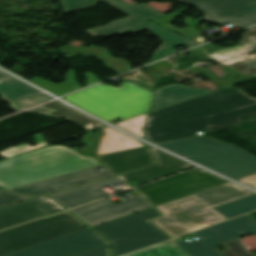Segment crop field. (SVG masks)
Wrapping results in <instances>:
<instances>
[{"mask_svg":"<svg viewBox=\"0 0 256 256\" xmlns=\"http://www.w3.org/2000/svg\"><path fill=\"white\" fill-rule=\"evenodd\" d=\"M207 55L241 75L250 73L256 77V27L244 32L240 44Z\"/></svg>","mask_w":256,"mask_h":256,"instance_id":"crop-field-13","label":"crop field"},{"mask_svg":"<svg viewBox=\"0 0 256 256\" xmlns=\"http://www.w3.org/2000/svg\"><path fill=\"white\" fill-rule=\"evenodd\" d=\"M1 190H3V189L0 188V191H1Z\"/></svg>","mask_w":256,"mask_h":256,"instance_id":"crop-field-45","label":"crop field"},{"mask_svg":"<svg viewBox=\"0 0 256 256\" xmlns=\"http://www.w3.org/2000/svg\"><path fill=\"white\" fill-rule=\"evenodd\" d=\"M126 256H187L177 245L172 241L156 245L154 247L135 252Z\"/></svg>","mask_w":256,"mask_h":256,"instance_id":"crop-field-30","label":"crop field"},{"mask_svg":"<svg viewBox=\"0 0 256 256\" xmlns=\"http://www.w3.org/2000/svg\"><path fill=\"white\" fill-rule=\"evenodd\" d=\"M10 76L0 71V81L4 80L6 78H9Z\"/></svg>","mask_w":256,"mask_h":256,"instance_id":"crop-field-43","label":"crop field"},{"mask_svg":"<svg viewBox=\"0 0 256 256\" xmlns=\"http://www.w3.org/2000/svg\"><path fill=\"white\" fill-rule=\"evenodd\" d=\"M109 52H111V51L106 47L99 48L95 45H92L90 47L73 52V53L65 56V58H69L71 56L81 53L82 55H84L86 57H89V56L97 57L98 59H100L104 62L106 67L116 71L119 74L131 70L130 62L126 61L123 58H115Z\"/></svg>","mask_w":256,"mask_h":256,"instance_id":"crop-field-27","label":"crop field"},{"mask_svg":"<svg viewBox=\"0 0 256 256\" xmlns=\"http://www.w3.org/2000/svg\"><path fill=\"white\" fill-rule=\"evenodd\" d=\"M150 148L157 165L117 175L116 177L122 182H126L130 187H134L194 167L158 149Z\"/></svg>","mask_w":256,"mask_h":256,"instance_id":"crop-field-17","label":"crop field"},{"mask_svg":"<svg viewBox=\"0 0 256 256\" xmlns=\"http://www.w3.org/2000/svg\"><path fill=\"white\" fill-rule=\"evenodd\" d=\"M214 209L228 219L252 210H256V194Z\"/></svg>","mask_w":256,"mask_h":256,"instance_id":"crop-field-28","label":"crop field"},{"mask_svg":"<svg viewBox=\"0 0 256 256\" xmlns=\"http://www.w3.org/2000/svg\"><path fill=\"white\" fill-rule=\"evenodd\" d=\"M237 181L245 184V185H252L256 183V174L252 176H248L242 179H238Z\"/></svg>","mask_w":256,"mask_h":256,"instance_id":"crop-field-38","label":"crop field"},{"mask_svg":"<svg viewBox=\"0 0 256 256\" xmlns=\"http://www.w3.org/2000/svg\"><path fill=\"white\" fill-rule=\"evenodd\" d=\"M101 131H94L88 134L83 135L81 143H86V149L79 151L84 155H94V152L97 147L99 135Z\"/></svg>","mask_w":256,"mask_h":256,"instance_id":"crop-field-35","label":"crop field"},{"mask_svg":"<svg viewBox=\"0 0 256 256\" xmlns=\"http://www.w3.org/2000/svg\"><path fill=\"white\" fill-rule=\"evenodd\" d=\"M97 157L113 175L155 164L148 147Z\"/></svg>","mask_w":256,"mask_h":256,"instance_id":"crop-field-21","label":"crop field"},{"mask_svg":"<svg viewBox=\"0 0 256 256\" xmlns=\"http://www.w3.org/2000/svg\"><path fill=\"white\" fill-rule=\"evenodd\" d=\"M28 198H32V197H28V196H23V195H18V194H13L9 191H1L0 192V207L5 206V205H9L18 201H22Z\"/></svg>","mask_w":256,"mask_h":256,"instance_id":"crop-field-36","label":"crop field"},{"mask_svg":"<svg viewBox=\"0 0 256 256\" xmlns=\"http://www.w3.org/2000/svg\"><path fill=\"white\" fill-rule=\"evenodd\" d=\"M99 164L68 147L51 146L0 162V186L9 189Z\"/></svg>","mask_w":256,"mask_h":256,"instance_id":"crop-field-2","label":"crop field"},{"mask_svg":"<svg viewBox=\"0 0 256 256\" xmlns=\"http://www.w3.org/2000/svg\"><path fill=\"white\" fill-rule=\"evenodd\" d=\"M159 215L160 214L158 213V211L152 208L93 227V229L99 232L110 242H113L121 238L155 227L152 223L148 221V219Z\"/></svg>","mask_w":256,"mask_h":256,"instance_id":"crop-field-18","label":"crop field"},{"mask_svg":"<svg viewBox=\"0 0 256 256\" xmlns=\"http://www.w3.org/2000/svg\"><path fill=\"white\" fill-rule=\"evenodd\" d=\"M169 238L170 237H168L157 227H155L147 231L113 242V255H123Z\"/></svg>","mask_w":256,"mask_h":256,"instance_id":"crop-field-25","label":"crop field"},{"mask_svg":"<svg viewBox=\"0 0 256 256\" xmlns=\"http://www.w3.org/2000/svg\"><path fill=\"white\" fill-rule=\"evenodd\" d=\"M61 2L66 14L79 9L92 7L98 2H106L130 15L102 27L88 30L87 32L93 37L102 36L106 38L163 15L145 3L130 5L122 0H61Z\"/></svg>","mask_w":256,"mask_h":256,"instance_id":"crop-field-9","label":"crop field"},{"mask_svg":"<svg viewBox=\"0 0 256 256\" xmlns=\"http://www.w3.org/2000/svg\"><path fill=\"white\" fill-rule=\"evenodd\" d=\"M178 1L179 3H184V4H192L194 2H197L199 0H176Z\"/></svg>","mask_w":256,"mask_h":256,"instance_id":"crop-field-41","label":"crop field"},{"mask_svg":"<svg viewBox=\"0 0 256 256\" xmlns=\"http://www.w3.org/2000/svg\"><path fill=\"white\" fill-rule=\"evenodd\" d=\"M65 210L47 195L0 208V229Z\"/></svg>","mask_w":256,"mask_h":256,"instance_id":"crop-field-15","label":"crop field"},{"mask_svg":"<svg viewBox=\"0 0 256 256\" xmlns=\"http://www.w3.org/2000/svg\"><path fill=\"white\" fill-rule=\"evenodd\" d=\"M209 92L212 91L201 88L183 86L179 83L157 88L155 89V96L150 111L160 109L171 104Z\"/></svg>","mask_w":256,"mask_h":256,"instance_id":"crop-field-24","label":"crop field"},{"mask_svg":"<svg viewBox=\"0 0 256 256\" xmlns=\"http://www.w3.org/2000/svg\"><path fill=\"white\" fill-rule=\"evenodd\" d=\"M252 194L255 193L232 182H229L191 196L156 206V208L163 215H166L202 202L214 208L250 196Z\"/></svg>","mask_w":256,"mask_h":256,"instance_id":"crop-field-12","label":"crop field"},{"mask_svg":"<svg viewBox=\"0 0 256 256\" xmlns=\"http://www.w3.org/2000/svg\"><path fill=\"white\" fill-rule=\"evenodd\" d=\"M89 228L69 211L0 232V256Z\"/></svg>","mask_w":256,"mask_h":256,"instance_id":"crop-field-6","label":"crop field"},{"mask_svg":"<svg viewBox=\"0 0 256 256\" xmlns=\"http://www.w3.org/2000/svg\"><path fill=\"white\" fill-rule=\"evenodd\" d=\"M242 243L240 240L222 243L226 250L221 251L220 253L223 256H256Z\"/></svg>","mask_w":256,"mask_h":256,"instance_id":"crop-field-32","label":"crop field"},{"mask_svg":"<svg viewBox=\"0 0 256 256\" xmlns=\"http://www.w3.org/2000/svg\"><path fill=\"white\" fill-rule=\"evenodd\" d=\"M105 243L89 228L7 256H70Z\"/></svg>","mask_w":256,"mask_h":256,"instance_id":"crop-field-11","label":"crop field"},{"mask_svg":"<svg viewBox=\"0 0 256 256\" xmlns=\"http://www.w3.org/2000/svg\"><path fill=\"white\" fill-rule=\"evenodd\" d=\"M193 5L205 15L204 21L213 24L232 23L245 28L256 23V0H202ZM190 6L192 5L166 14L153 22L191 38L201 21L180 15ZM176 16L186 19L184 24L188 25L187 28L171 25Z\"/></svg>","mask_w":256,"mask_h":256,"instance_id":"crop-field-5","label":"crop field"},{"mask_svg":"<svg viewBox=\"0 0 256 256\" xmlns=\"http://www.w3.org/2000/svg\"><path fill=\"white\" fill-rule=\"evenodd\" d=\"M222 220L226 218L204 203L151 219L172 238Z\"/></svg>","mask_w":256,"mask_h":256,"instance_id":"crop-field-10","label":"crop field"},{"mask_svg":"<svg viewBox=\"0 0 256 256\" xmlns=\"http://www.w3.org/2000/svg\"><path fill=\"white\" fill-rule=\"evenodd\" d=\"M225 68L228 70V76H227L228 79H227V81H225V80H219V81L214 80L216 77L213 76L209 71H207L203 68L194 67L192 69L194 71H196L198 74H201V75L207 77L208 79L216 82L218 88L221 89V88L228 87V86L232 85L233 84V78L236 75H239V73L234 71L233 69H231L227 66H225ZM229 76H231V78Z\"/></svg>","mask_w":256,"mask_h":256,"instance_id":"crop-field-33","label":"crop field"},{"mask_svg":"<svg viewBox=\"0 0 256 256\" xmlns=\"http://www.w3.org/2000/svg\"><path fill=\"white\" fill-rule=\"evenodd\" d=\"M146 114L139 116L137 118L131 119V120L119 122L115 125H117L118 127L122 128L124 130L132 132V133L136 134L137 136L144 139L142 132H141V128L143 127V123H144Z\"/></svg>","mask_w":256,"mask_h":256,"instance_id":"crop-field-34","label":"crop field"},{"mask_svg":"<svg viewBox=\"0 0 256 256\" xmlns=\"http://www.w3.org/2000/svg\"><path fill=\"white\" fill-rule=\"evenodd\" d=\"M198 60L199 61H215V60L211 59L210 57H208L206 55L201 57V58H199Z\"/></svg>","mask_w":256,"mask_h":256,"instance_id":"crop-field-42","label":"crop field"},{"mask_svg":"<svg viewBox=\"0 0 256 256\" xmlns=\"http://www.w3.org/2000/svg\"><path fill=\"white\" fill-rule=\"evenodd\" d=\"M148 207H151V205L138 196L116 205L110 203L106 199H102L71 209V211L78 215L87 224L93 226Z\"/></svg>","mask_w":256,"mask_h":256,"instance_id":"crop-field-14","label":"crop field"},{"mask_svg":"<svg viewBox=\"0 0 256 256\" xmlns=\"http://www.w3.org/2000/svg\"><path fill=\"white\" fill-rule=\"evenodd\" d=\"M98 168L105 171L100 172ZM112 176L102 165L19 186L9 191L38 196L69 186ZM70 188V187H69Z\"/></svg>","mask_w":256,"mask_h":256,"instance_id":"crop-field-16","label":"crop field"},{"mask_svg":"<svg viewBox=\"0 0 256 256\" xmlns=\"http://www.w3.org/2000/svg\"><path fill=\"white\" fill-rule=\"evenodd\" d=\"M251 114L256 116V98L231 86L150 112L144 132L147 140L159 144L195 136L210 126L223 129L240 124V118Z\"/></svg>","mask_w":256,"mask_h":256,"instance_id":"crop-field-1","label":"crop field"},{"mask_svg":"<svg viewBox=\"0 0 256 256\" xmlns=\"http://www.w3.org/2000/svg\"><path fill=\"white\" fill-rule=\"evenodd\" d=\"M34 137H35V141H36V145L34 147L30 146L27 143L21 144V145H17L15 147H10V148L3 150V152H0V155L9 158L14 155L25 153V152L31 151L33 149L48 145L43 140L42 133L36 134V135H34Z\"/></svg>","mask_w":256,"mask_h":256,"instance_id":"crop-field-31","label":"crop field"},{"mask_svg":"<svg viewBox=\"0 0 256 256\" xmlns=\"http://www.w3.org/2000/svg\"><path fill=\"white\" fill-rule=\"evenodd\" d=\"M81 48H84V47H82V46L73 47V46H71V45H67V46H64V47L60 48L59 50H60L61 52H63L65 55H67V54H69V53H71V52H73V51L79 50V49H81Z\"/></svg>","mask_w":256,"mask_h":256,"instance_id":"crop-field-39","label":"crop field"},{"mask_svg":"<svg viewBox=\"0 0 256 256\" xmlns=\"http://www.w3.org/2000/svg\"><path fill=\"white\" fill-rule=\"evenodd\" d=\"M120 182L115 176L90 182L67 190L49 194L53 199L69 209L109 195L102 188Z\"/></svg>","mask_w":256,"mask_h":256,"instance_id":"crop-field-19","label":"crop field"},{"mask_svg":"<svg viewBox=\"0 0 256 256\" xmlns=\"http://www.w3.org/2000/svg\"><path fill=\"white\" fill-rule=\"evenodd\" d=\"M146 29L151 31L154 35H156L158 38H160L163 41V43L156 49L155 53L153 54V56L151 57L149 62L163 58L169 54L175 53L176 51L174 50V47H177L179 45H184L188 48L197 45L192 39L177 35L171 31H168V30L160 27L159 25H157L151 21H149L141 26L121 32L119 34L126 35L131 32L138 33L140 31H143Z\"/></svg>","mask_w":256,"mask_h":256,"instance_id":"crop-field-22","label":"crop field"},{"mask_svg":"<svg viewBox=\"0 0 256 256\" xmlns=\"http://www.w3.org/2000/svg\"><path fill=\"white\" fill-rule=\"evenodd\" d=\"M66 79H67L66 82L59 84V85L50 83L48 81H45V80H42L39 78H34L30 81H32L36 85H38L48 91H50L51 93H53L55 95H62L67 92L81 88V86L77 82H75L73 71L68 72V74L66 75Z\"/></svg>","mask_w":256,"mask_h":256,"instance_id":"crop-field-29","label":"crop field"},{"mask_svg":"<svg viewBox=\"0 0 256 256\" xmlns=\"http://www.w3.org/2000/svg\"><path fill=\"white\" fill-rule=\"evenodd\" d=\"M159 145L234 180L256 173V158L229 144L198 136Z\"/></svg>","mask_w":256,"mask_h":256,"instance_id":"crop-field-4","label":"crop field"},{"mask_svg":"<svg viewBox=\"0 0 256 256\" xmlns=\"http://www.w3.org/2000/svg\"><path fill=\"white\" fill-rule=\"evenodd\" d=\"M200 168L135 188L154 206L226 183Z\"/></svg>","mask_w":256,"mask_h":256,"instance_id":"crop-field-7","label":"crop field"},{"mask_svg":"<svg viewBox=\"0 0 256 256\" xmlns=\"http://www.w3.org/2000/svg\"><path fill=\"white\" fill-rule=\"evenodd\" d=\"M26 111L66 119L87 132L92 131L95 127L104 126L98 121L85 116L59 101H52Z\"/></svg>","mask_w":256,"mask_h":256,"instance_id":"crop-field-23","label":"crop field"},{"mask_svg":"<svg viewBox=\"0 0 256 256\" xmlns=\"http://www.w3.org/2000/svg\"><path fill=\"white\" fill-rule=\"evenodd\" d=\"M252 187L256 188V184H255V185H253Z\"/></svg>","mask_w":256,"mask_h":256,"instance_id":"crop-field-44","label":"crop field"},{"mask_svg":"<svg viewBox=\"0 0 256 256\" xmlns=\"http://www.w3.org/2000/svg\"><path fill=\"white\" fill-rule=\"evenodd\" d=\"M85 74H86V76L88 77V78H87V81H88V82H87L86 85H90V84L99 82L98 78H97L95 75H93V74H91V73H85Z\"/></svg>","mask_w":256,"mask_h":256,"instance_id":"crop-field-40","label":"crop field"},{"mask_svg":"<svg viewBox=\"0 0 256 256\" xmlns=\"http://www.w3.org/2000/svg\"><path fill=\"white\" fill-rule=\"evenodd\" d=\"M109 252H110V246L108 243L73 256H110Z\"/></svg>","mask_w":256,"mask_h":256,"instance_id":"crop-field-37","label":"crop field"},{"mask_svg":"<svg viewBox=\"0 0 256 256\" xmlns=\"http://www.w3.org/2000/svg\"><path fill=\"white\" fill-rule=\"evenodd\" d=\"M250 234H256V221L249 215H243L193 233L199 239L195 242L181 240L177 244L190 256H222L217 250L220 243Z\"/></svg>","mask_w":256,"mask_h":256,"instance_id":"crop-field-8","label":"crop field"},{"mask_svg":"<svg viewBox=\"0 0 256 256\" xmlns=\"http://www.w3.org/2000/svg\"><path fill=\"white\" fill-rule=\"evenodd\" d=\"M63 99L110 122L146 113L152 93L130 82L120 88L100 83Z\"/></svg>","mask_w":256,"mask_h":256,"instance_id":"crop-field-3","label":"crop field"},{"mask_svg":"<svg viewBox=\"0 0 256 256\" xmlns=\"http://www.w3.org/2000/svg\"><path fill=\"white\" fill-rule=\"evenodd\" d=\"M0 95L1 100L11 104V108L16 111L52 98L13 77L0 82Z\"/></svg>","mask_w":256,"mask_h":256,"instance_id":"crop-field-20","label":"crop field"},{"mask_svg":"<svg viewBox=\"0 0 256 256\" xmlns=\"http://www.w3.org/2000/svg\"><path fill=\"white\" fill-rule=\"evenodd\" d=\"M99 144L97 155L119 152L133 148L143 147L137 140L121 134L110 127L106 126Z\"/></svg>","mask_w":256,"mask_h":256,"instance_id":"crop-field-26","label":"crop field"}]
</instances>
